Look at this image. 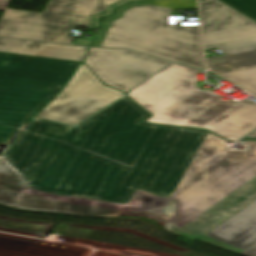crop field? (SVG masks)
<instances>
[{
  "label": "crop field",
  "instance_id": "8a807250",
  "mask_svg": "<svg viewBox=\"0 0 256 256\" xmlns=\"http://www.w3.org/2000/svg\"><path fill=\"white\" fill-rule=\"evenodd\" d=\"M127 96L76 127L34 120L0 156V204L99 216L149 212L195 241L256 199V140L148 125Z\"/></svg>",
  "mask_w": 256,
  "mask_h": 256
},
{
  "label": "crop field",
  "instance_id": "ac0d7876",
  "mask_svg": "<svg viewBox=\"0 0 256 256\" xmlns=\"http://www.w3.org/2000/svg\"><path fill=\"white\" fill-rule=\"evenodd\" d=\"M198 70L173 63L128 96L154 116L146 122L208 129L238 141L256 128V107L246 111L210 89L195 85Z\"/></svg>",
  "mask_w": 256,
  "mask_h": 256
},
{
  "label": "crop field",
  "instance_id": "34b2d1b8",
  "mask_svg": "<svg viewBox=\"0 0 256 256\" xmlns=\"http://www.w3.org/2000/svg\"><path fill=\"white\" fill-rule=\"evenodd\" d=\"M185 8H197L196 0H153L124 6L104 19L92 46L137 50L206 69L199 26L169 25L172 9Z\"/></svg>",
  "mask_w": 256,
  "mask_h": 256
},
{
  "label": "crop field",
  "instance_id": "412701ff",
  "mask_svg": "<svg viewBox=\"0 0 256 256\" xmlns=\"http://www.w3.org/2000/svg\"><path fill=\"white\" fill-rule=\"evenodd\" d=\"M78 64L0 53V143H7L64 87Z\"/></svg>",
  "mask_w": 256,
  "mask_h": 256
},
{
  "label": "crop field",
  "instance_id": "f4fd0767",
  "mask_svg": "<svg viewBox=\"0 0 256 256\" xmlns=\"http://www.w3.org/2000/svg\"><path fill=\"white\" fill-rule=\"evenodd\" d=\"M132 0H50L43 13L6 9L0 36L70 44L73 27L97 29L99 18Z\"/></svg>",
  "mask_w": 256,
  "mask_h": 256
},
{
  "label": "crop field",
  "instance_id": "dd49c442",
  "mask_svg": "<svg viewBox=\"0 0 256 256\" xmlns=\"http://www.w3.org/2000/svg\"><path fill=\"white\" fill-rule=\"evenodd\" d=\"M123 96L101 84L81 64L67 87L37 117L76 125Z\"/></svg>",
  "mask_w": 256,
  "mask_h": 256
},
{
  "label": "crop field",
  "instance_id": "e52e79f7",
  "mask_svg": "<svg viewBox=\"0 0 256 256\" xmlns=\"http://www.w3.org/2000/svg\"><path fill=\"white\" fill-rule=\"evenodd\" d=\"M84 62L109 86L128 92L170 62L141 53L90 48Z\"/></svg>",
  "mask_w": 256,
  "mask_h": 256
},
{
  "label": "crop field",
  "instance_id": "d8731c3e",
  "mask_svg": "<svg viewBox=\"0 0 256 256\" xmlns=\"http://www.w3.org/2000/svg\"><path fill=\"white\" fill-rule=\"evenodd\" d=\"M204 49L220 47L224 55L205 58L217 73L256 67V24L203 34Z\"/></svg>",
  "mask_w": 256,
  "mask_h": 256
},
{
  "label": "crop field",
  "instance_id": "5a996713",
  "mask_svg": "<svg viewBox=\"0 0 256 256\" xmlns=\"http://www.w3.org/2000/svg\"><path fill=\"white\" fill-rule=\"evenodd\" d=\"M198 241L237 254L254 244L256 242V200Z\"/></svg>",
  "mask_w": 256,
  "mask_h": 256
},
{
  "label": "crop field",
  "instance_id": "3316defc",
  "mask_svg": "<svg viewBox=\"0 0 256 256\" xmlns=\"http://www.w3.org/2000/svg\"><path fill=\"white\" fill-rule=\"evenodd\" d=\"M87 48L0 38V52L81 61Z\"/></svg>",
  "mask_w": 256,
  "mask_h": 256
},
{
  "label": "crop field",
  "instance_id": "28ad6ade",
  "mask_svg": "<svg viewBox=\"0 0 256 256\" xmlns=\"http://www.w3.org/2000/svg\"><path fill=\"white\" fill-rule=\"evenodd\" d=\"M203 33L254 24L217 0L199 2Z\"/></svg>",
  "mask_w": 256,
  "mask_h": 256
},
{
  "label": "crop field",
  "instance_id": "d1516ede",
  "mask_svg": "<svg viewBox=\"0 0 256 256\" xmlns=\"http://www.w3.org/2000/svg\"><path fill=\"white\" fill-rule=\"evenodd\" d=\"M220 76L256 95V68L220 74Z\"/></svg>",
  "mask_w": 256,
  "mask_h": 256
},
{
  "label": "crop field",
  "instance_id": "22f410ed",
  "mask_svg": "<svg viewBox=\"0 0 256 256\" xmlns=\"http://www.w3.org/2000/svg\"><path fill=\"white\" fill-rule=\"evenodd\" d=\"M245 17L256 22V0H219Z\"/></svg>",
  "mask_w": 256,
  "mask_h": 256
},
{
  "label": "crop field",
  "instance_id": "cbeb9de0",
  "mask_svg": "<svg viewBox=\"0 0 256 256\" xmlns=\"http://www.w3.org/2000/svg\"><path fill=\"white\" fill-rule=\"evenodd\" d=\"M240 255L244 256H256V243L242 252Z\"/></svg>",
  "mask_w": 256,
  "mask_h": 256
},
{
  "label": "crop field",
  "instance_id": "5142ce71",
  "mask_svg": "<svg viewBox=\"0 0 256 256\" xmlns=\"http://www.w3.org/2000/svg\"><path fill=\"white\" fill-rule=\"evenodd\" d=\"M11 0H0V10L5 11Z\"/></svg>",
  "mask_w": 256,
  "mask_h": 256
},
{
  "label": "crop field",
  "instance_id": "d9b57169",
  "mask_svg": "<svg viewBox=\"0 0 256 256\" xmlns=\"http://www.w3.org/2000/svg\"><path fill=\"white\" fill-rule=\"evenodd\" d=\"M73 44H78V45H86L89 46L90 41L87 40H81V39H76Z\"/></svg>",
  "mask_w": 256,
  "mask_h": 256
},
{
  "label": "crop field",
  "instance_id": "733c2abd",
  "mask_svg": "<svg viewBox=\"0 0 256 256\" xmlns=\"http://www.w3.org/2000/svg\"><path fill=\"white\" fill-rule=\"evenodd\" d=\"M248 138H256V132L248 136Z\"/></svg>",
  "mask_w": 256,
  "mask_h": 256
}]
</instances>
